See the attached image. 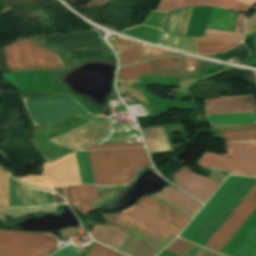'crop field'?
<instances>
[{
  "mask_svg": "<svg viewBox=\"0 0 256 256\" xmlns=\"http://www.w3.org/2000/svg\"><path fill=\"white\" fill-rule=\"evenodd\" d=\"M255 184V178L229 176L179 236L203 246Z\"/></svg>",
  "mask_w": 256,
  "mask_h": 256,
  "instance_id": "crop-field-1",
  "label": "crop field"
},
{
  "mask_svg": "<svg viewBox=\"0 0 256 256\" xmlns=\"http://www.w3.org/2000/svg\"><path fill=\"white\" fill-rule=\"evenodd\" d=\"M89 153L98 185L131 182L139 168L150 166L143 148L97 150Z\"/></svg>",
  "mask_w": 256,
  "mask_h": 256,
  "instance_id": "crop-field-2",
  "label": "crop field"
},
{
  "mask_svg": "<svg viewBox=\"0 0 256 256\" xmlns=\"http://www.w3.org/2000/svg\"><path fill=\"white\" fill-rule=\"evenodd\" d=\"M226 144L256 142V130L222 131ZM227 154L205 153L198 165L230 174H256V143L226 145Z\"/></svg>",
  "mask_w": 256,
  "mask_h": 256,
  "instance_id": "crop-field-3",
  "label": "crop field"
},
{
  "mask_svg": "<svg viewBox=\"0 0 256 256\" xmlns=\"http://www.w3.org/2000/svg\"><path fill=\"white\" fill-rule=\"evenodd\" d=\"M9 70L64 68L52 52L26 39L4 48Z\"/></svg>",
  "mask_w": 256,
  "mask_h": 256,
  "instance_id": "crop-field-4",
  "label": "crop field"
},
{
  "mask_svg": "<svg viewBox=\"0 0 256 256\" xmlns=\"http://www.w3.org/2000/svg\"><path fill=\"white\" fill-rule=\"evenodd\" d=\"M35 125L52 124L71 113L88 114L70 96L24 98Z\"/></svg>",
  "mask_w": 256,
  "mask_h": 256,
  "instance_id": "crop-field-5",
  "label": "crop field"
},
{
  "mask_svg": "<svg viewBox=\"0 0 256 256\" xmlns=\"http://www.w3.org/2000/svg\"><path fill=\"white\" fill-rule=\"evenodd\" d=\"M206 114L256 112L252 96L205 100ZM210 124L256 123V113L206 115Z\"/></svg>",
  "mask_w": 256,
  "mask_h": 256,
  "instance_id": "crop-field-6",
  "label": "crop field"
},
{
  "mask_svg": "<svg viewBox=\"0 0 256 256\" xmlns=\"http://www.w3.org/2000/svg\"><path fill=\"white\" fill-rule=\"evenodd\" d=\"M58 239L49 235L0 230V246L52 251ZM0 247V256H48L50 252Z\"/></svg>",
  "mask_w": 256,
  "mask_h": 256,
  "instance_id": "crop-field-7",
  "label": "crop field"
},
{
  "mask_svg": "<svg viewBox=\"0 0 256 256\" xmlns=\"http://www.w3.org/2000/svg\"><path fill=\"white\" fill-rule=\"evenodd\" d=\"M21 179L30 184L49 187L53 190L54 187L81 184L74 153L50 164H45L43 175L40 177L32 175Z\"/></svg>",
  "mask_w": 256,
  "mask_h": 256,
  "instance_id": "crop-field-8",
  "label": "crop field"
},
{
  "mask_svg": "<svg viewBox=\"0 0 256 256\" xmlns=\"http://www.w3.org/2000/svg\"><path fill=\"white\" fill-rule=\"evenodd\" d=\"M10 209H33L55 205L54 192L28 185L9 174Z\"/></svg>",
  "mask_w": 256,
  "mask_h": 256,
  "instance_id": "crop-field-9",
  "label": "crop field"
},
{
  "mask_svg": "<svg viewBox=\"0 0 256 256\" xmlns=\"http://www.w3.org/2000/svg\"><path fill=\"white\" fill-rule=\"evenodd\" d=\"M255 208L256 186L207 243L205 248L219 253Z\"/></svg>",
  "mask_w": 256,
  "mask_h": 256,
  "instance_id": "crop-field-10",
  "label": "crop field"
},
{
  "mask_svg": "<svg viewBox=\"0 0 256 256\" xmlns=\"http://www.w3.org/2000/svg\"><path fill=\"white\" fill-rule=\"evenodd\" d=\"M108 125L109 123L89 121L86 124L68 132L98 141L101 137H103L105 131L108 128ZM68 132H65L50 140L75 150L81 149L83 147H86L96 142V141H93L84 137H80Z\"/></svg>",
  "mask_w": 256,
  "mask_h": 256,
  "instance_id": "crop-field-11",
  "label": "crop field"
},
{
  "mask_svg": "<svg viewBox=\"0 0 256 256\" xmlns=\"http://www.w3.org/2000/svg\"><path fill=\"white\" fill-rule=\"evenodd\" d=\"M173 179V183L204 203L220 185L206 177L193 173L187 165L181 167L173 175Z\"/></svg>",
  "mask_w": 256,
  "mask_h": 256,
  "instance_id": "crop-field-12",
  "label": "crop field"
},
{
  "mask_svg": "<svg viewBox=\"0 0 256 256\" xmlns=\"http://www.w3.org/2000/svg\"><path fill=\"white\" fill-rule=\"evenodd\" d=\"M256 226V210L222 249L220 254L231 256L247 235ZM256 254V227L233 253L232 256H254Z\"/></svg>",
  "mask_w": 256,
  "mask_h": 256,
  "instance_id": "crop-field-13",
  "label": "crop field"
},
{
  "mask_svg": "<svg viewBox=\"0 0 256 256\" xmlns=\"http://www.w3.org/2000/svg\"><path fill=\"white\" fill-rule=\"evenodd\" d=\"M152 196L142 198L136 205L144 208L145 210L153 213L154 215L164 219L165 221L173 224L174 226H176V227H178L182 230L189 223V221L192 219L190 217H193V216H191V215L185 213L184 211L174 207L173 205L165 202L164 200H162V199H160L156 196H153V197L163 201L164 203L172 206L173 208L183 212L184 214L190 216V217H188V216L182 214L181 212L173 209L172 207L162 203L161 201L153 198Z\"/></svg>",
  "mask_w": 256,
  "mask_h": 256,
  "instance_id": "crop-field-14",
  "label": "crop field"
},
{
  "mask_svg": "<svg viewBox=\"0 0 256 256\" xmlns=\"http://www.w3.org/2000/svg\"><path fill=\"white\" fill-rule=\"evenodd\" d=\"M121 213L172 240L182 231L135 205Z\"/></svg>",
  "mask_w": 256,
  "mask_h": 256,
  "instance_id": "crop-field-15",
  "label": "crop field"
},
{
  "mask_svg": "<svg viewBox=\"0 0 256 256\" xmlns=\"http://www.w3.org/2000/svg\"><path fill=\"white\" fill-rule=\"evenodd\" d=\"M183 68L181 57L153 59L144 63L119 69L118 79L125 80L159 69Z\"/></svg>",
  "mask_w": 256,
  "mask_h": 256,
  "instance_id": "crop-field-16",
  "label": "crop field"
},
{
  "mask_svg": "<svg viewBox=\"0 0 256 256\" xmlns=\"http://www.w3.org/2000/svg\"><path fill=\"white\" fill-rule=\"evenodd\" d=\"M211 6L229 8L237 11L248 12L251 6L236 2L234 0H161L157 10L171 11L182 6Z\"/></svg>",
  "mask_w": 256,
  "mask_h": 256,
  "instance_id": "crop-field-17",
  "label": "crop field"
},
{
  "mask_svg": "<svg viewBox=\"0 0 256 256\" xmlns=\"http://www.w3.org/2000/svg\"><path fill=\"white\" fill-rule=\"evenodd\" d=\"M166 14L167 12L151 11L144 25L126 29L123 33L159 44L162 31L157 27Z\"/></svg>",
  "mask_w": 256,
  "mask_h": 256,
  "instance_id": "crop-field-18",
  "label": "crop field"
},
{
  "mask_svg": "<svg viewBox=\"0 0 256 256\" xmlns=\"http://www.w3.org/2000/svg\"><path fill=\"white\" fill-rule=\"evenodd\" d=\"M119 215L113 218L112 222L117 225L127 229L128 231L135 233L136 235L144 238L150 243L156 245L157 247L163 249L166 245H168L171 240L156 233L155 231L137 223L136 221L118 213Z\"/></svg>",
  "mask_w": 256,
  "mask_h": 256,
  "instance_id": "crop-field-19",
  "label": "crop field"
},
{
  "mask_svg": "<svg viewBox=\"0 0 256 256\" xmlns=\"http://www.w3.org/2000/svg\"><path fill=\"white\" fill-rule=\"evenodd\" d=\"M155 195L170 202L178 208L186 211L191 215H195L201 208V204L193 200L192 198L184 195L183 193L167 186L163 191L156 193Z\"/></svg>",
  "mask_w": 256,
  "mask_h": 256,
  "instance_id": "crop-field-20",
  "label": "crop field"
},
{
  "mask_svg": "<svg viewBox=\"0 0 256 256\" xmlns=\"http://www.w3.org/2000/svg\"><path fill=\"white\" fill-rule=\"evenodd\" d=\"M93 229L91 235L95 240L105 245L107 244L117 250L129 233L112 226H102L98 224H95Z\"/></svg>",
  "mask_w": 256,
  "mask_h": 256,
  "instance_id": "crop-field-21",
  "label": "crop field"
},
{
  "mask_svg": "<svg viewBox=\"0 0 256 256\" xmlns=\"http://www.w3.org/2000/svg\"><path fill=\"white\" fill-rule=\"evenodd\" d=\"M239 13L221 9L214 8L206 29L211 30H225L234 32L235 22Z\"/></svg>",
  "mask_w": 256,
  "mask_h": 256,
  "instance_id": "crop-field-22",
  "label": "crop field"
},
{
  "mask_svg": "<svg viewBox=\"0 0 256 256\" xmlns=\"http://www.w3.org/2000/svg\"><path fill=\"white\" fill-rule=\"evenodd\" d=\"M140 46L117 36L115 50L120 55V67L138 62Z\"/></svg>",
  "mask_w": 256,
  "mask_h": 256,
  "instance_id": "crop-field-23",
  "label": "crop field"
},
{
  "mask_svg": "<svg viewBox=\"0 0 256 256\" xmlns=\"http://www.w3.org/2000/svg\"><path fill=\"white\" fill-rule=\"evenodd\" d=\"M149 152L170 150L162 126L141 129Z\"/></svg>",
  "mask_w": 256,
  "mask_h": 256,
  "instance_id": "crop-field-24",
  "label": "crop field"
},
{
  "mask_svg": "<svg viewBox=\"0 0 256 256\" xmlns=\"http://www.w3.org/2000/svg\"><path fill=\"white\" fill-rule=\"evenodd\" d=\"M64 192L67 202L82 215L91 212L93 201L82 202L78 186H67Z\"/></svg>",
  "mask_w": 256,
  "mask_h": 256,
  "instance_id": "crop-field-25",
  "label": "crop field"
},
{
  "mask_svg": "<svg viewBox=\"0 0 256 256\" xmlns=\"http://www.w3.org/2000/svg\"><path fill=\"white\" fill-rule=\"evenodd\" d=\"M75 155L82 184H94L88 162L87 151L76 152Z\"/></svg>",
  "mask_w": 256,
  "mask_h": 256,
  "instance_id": "crop-field-26",
  "label": "crop field"
},
{
  "mask_svg": "<svg viewBox=\"0 0 256 256\" xmlns=\"http://www.w3.org/2000/svg\"><path fill=\"white\" fill-rule=\"evenodd\" d=\"M238 43H196L198 53L212 54L226 51Z\"/></svg>",
  "mask_w": 256,
  "mask_h": 256,
  "instance_id": "crop-field-27",
  "label": "crop field"
},
{
  "mask_svg": "<svg viewBox=\"0 0 256 256\" xmlns=\"http://www.w3.org/2000/svg\"><path fill=\"white\" fill-rule=\"evenodd\" d=\"M9 208L8 172L0 167V209Z\"/></svg>",
  "mask_w": 256,
  "mask_h": 256,
  "instance_id": "crop-field-28",
  "label": "crop field"
},
{
  "mask_svg": "<svg viewBox=\"0 0 256 256\" xmlns=\"http://www.w3.org/2000/svg\"><path fill=\"white\" fill-rule=\"evenodd\" d=\"M195 244L176 238L166 250L175 253L179 256H184L190 249H192Z\"/></svg>",
  "mask_w": 256,
  "mask_h": 256,
  "instance_id": "crop-field-29",
  "label": "crop field"
},
{
  "mask_svg": "<svg viewBox=\"0 0 256 256\" xmlns=\"http://www.w3.org/2000/svg\"><path fill=\"white\" fill-rule=\"evenodd\" d=\"M161 250L142 240L131 253V256H156Z\"/></svg>",
  "mask_w": 256,
  "mask_h": 256,
  "instance_id": "crop-field-30",
  "label": "crop field"
},
{
  "mask_svg": "<svg viewBox=\"0 0 256 256\" xmlns=\"http://www.w3.org/2000/svg\"><path fill=\"white\" fill-rule=\"evenodd\" d=\"M242 38L230 35L205 34V37L196 38V42H240Z\"/></svg>",
  "mask_w": 256,
  "mask_h": 256,
  "instance_id": "crop-field-31",
  "label": "crop field"
},
{
  "mask_svg": "<svg viewBox=\"0 0 256 256\" xmlns=\"http://www.w3.org/2000/svg\"><path fill=\"white\" fill-rule=\"evenodd\" d=\"M87 256H124L112 250H109L97 243L93 246Z\"/></svg>",
  "mask_w": 256,
  "mask_h": 256,
  "instance_id": "crop-field-32",
  "label": "crop field"
},
{
  "mask_svg": "<svg viewBox=\"0 0 256 256\" xmlns=\"http://www.w3.org/2000/svg\"><path fill=\"white\" fill-rule=\"evenodd\" d=\"M185 64H186V77L187 78L200 75L199 71H198L197 61L195 58L185 57Z\"/></svg>",
  "mask_w": 256,
  "mask_h": 256,
  "instance_id": "crop-field-33",
  "label": "crop field"
},
{
  "mask_svg": "<svg viewBox=\"0 0 256 256\" xmlns=\"http://www.w3.org/2000/svg\"><path fill=\"white\" fill-rule=\"evenodd\" d=\"M83 201L98 199L95 189L91 185L79 186Z\"/></svg>",
  "mask_w": 256,
  "mask_h": 256,
  "instance_id": "crop-field-34",
  "label": "crop field"
},
{
  "mask_svg": "<svg viewBox=\"0 0 256 256\" xmlns=\"http://www.w3.org/2000/svg\"><path fill=\"white\" fill-rule=\"evenodd\" d=\"M143 146L142 143L90 146L83 150Z\"/></svg>",
  "mask_w": 256,
  "mask_h": 256,
  "instance_id": "crop-field-35",
  "label": "crop field"
},
{
  "mask_svg": "<svg viewBox=\"0 0 256 256\" xmlns=\"http://www.w3.org/2000/svg\"><path fill=\"white\" fill-rule=\"evenodd\" d=\"M168 54H169V52H167V51L160 50V49L149 46L147 58L164 57V56H168Z\"/></svg>",
  "mask_w": 256,
  "mask_h": 256,
  "instance_id": "crop-field-36",
  "label": "crop field"
},
{
  "mask_svg": "<svg viewBox=\"0 0 256 256\" xmlns=\"http://www.w3.org/2000/svg\"><path fill=\"white\" fill-rule=\"evenodd\" d=\"M79 253L75 252L67 247L61 249L60 251L52 254L51 256H78Z\"/></svg>",
  "mask_w": 256,
  "mask_h": 256,
  "instance_id": "crop-field-37",
  "label": "crop field"
},
{
  "mask_svg": "<svg viewBox=\"0 0 256 256\" xmlns=\"http://www.w3.org/2000/svg\"><path fill=\"white\" fill-rule=\"evenodd\" d=\"M207 251V249L202 248L196 245L190 252H188L185 256H201Z\"/></svg>",
  "mask_w": 256,
  "mask_h": 256,
  "instance_id": "crop-field-38",
  "label": "crop field"
},
{
  "mask_svg": "<svg viewBox=\"0 0 256 256\" xmlns=\"http://www.w3.org/2000/svg\"><path fill=\"white\" fill-rule=\"evenodd\" d=\"M245 15L240 14L237 22H236V28H235V32L237 33H243V20H244Z\"/></svg>",
  "mask_w": 256,
  "mask_h": 256,
  "instance_id": "crop-field-39",
  "label": "crop field"
},
{
  "mask_svg": "<svg viewBox=\"0 0 256 256\" xmlns=\"http://www.w3.org/2000/svg\"><path fill=\"white\" fill-rule=\"evenodd\" d=\"M147 48H148L147 45H143L142 44L139 62L145 61V56H146Z\"/></svg>",
  "mask_w": 256,
  "mask_h": 256,
  "instance_id": "crop-field-40",
  "label": "crop field"
},
{
  "mask_svg": "<svg viewBox=\"0 0 256 256\" xmlns=\"http://www.w3.org/2000/svg\"><path fill=\"white\" fill-rule=\"evenodd\" d=\"M205 33L230 34V35H239V36L243 35V34H237V33L225 32V31H210V30H206Z\"/></svg>",
  "mask_w": 256,
  "mask_h": 256,
  "instance_id": "crop-field-41",
  "label": "crop field"
},
{
  "mask_svg": "<svg viewBox=\"0 0 256 256\" xmlns=\"http://www.w3.org/2000/svg\"><path fill=\"white\" fill-rule=\"evenodd\" d=\"M236 1H239V2H242V3H246V4H249V5H254L256 4V0H236Z\"/></svg>",
  "mask_w": 256,
  "mask_h": 256,
  "instance_id": "crop-field-42",
  "label": "crop field"
},
{
  "mask_svg": "<svg viewBox=\"0 0 256 256\" xmlns=\"http://www.w3.org/2000/svg\"><path fill=\"white\" fill-rule=\"evenodd\" d=\"M254 73V75H255V79H256V72H253Z\"/></svg>",
  "mask_w": 256,
  "mask_h": 256,
  "instance_id": "crop-field-43",
  "label": "crop field"
}]
</instances>
